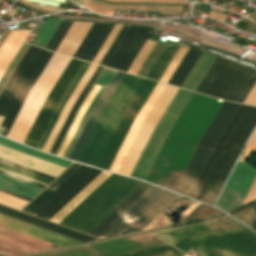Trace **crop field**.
I'll return each instance as SVG.
<instances>
[{"mask_svg": "<svg viewBox=\"0 0 256 256\" xmlns=\"http://www.w3.org/2000/svg\"><path fill=\"white\" fill-rule=\"evenodd\" d=\"M176 230L154 234L163 235L174 247L192 256H256V235L228 216Z\"/></svg>", "mask_w": 256, "mask_h": 256, "instance_id": "1", "label": "crop field"}, {"mask_svg": "<svg viewBox=\"0 0 256 256\" xmlns=\"http://www.w3.org/2000/svg\"><path fill=\"white\" fill-rule=\"evenodd\" d=\"M256 125V107L243 106L218 142L191 198L213 205L237 155Z\"/></svg>", "mask_w": 256, "mask_h": 256, "instance_id": "2", "label": "crop field"}, {"mask_svg": "<svg viewBox=\"0 0 256 256\" xmlns=\"http://www.w3.org/2000/svg\"><path fill=\"white\" fill-rule=\"evenodd\" d=\"M141 184L112 174L59 224L87 234Z\"/></svg>", "mask_w": 256, "mask_h": 256, "instance_id": "3", "label": "crop field"}, {"mask_svg": "<svg viewBox=\"0 0 256 256\" xmlns=\"http://www.w3.org/2000/svg\"><path fill=\"white\" fill-rule=\"evenodd\" d=\"M143 81V78L125 74L103 109L78 162L96 167L120 117Z\"/></svg>", "mask_w": 256, "mask_h": 256, "instance_id": "4", "label": "crop field"}, {"mask_svg": "<svg viewBox=\"0 0 256 256\" xmlns=\"http://www.w3.org/2000/svg\"><path fill=\"white\" fill-rule=\"evenodd\" d=\"M89 63L71 59L50 95L46 99L24 144L42 150L66 102L70 98Z\"/></svg>", "mask_w": 256, "mask_h": 256, "instance_id": "5", "label": "crop field"}, {"mask_svg": "<svg viewBox=\"0 0 256 256\" xmlns=\"http://www.w3.org/2000/svg\"><path fill=\"white\" fill-rule=\"evenodd\" d=\"M255 81V70L216 57L196 92L243 103Z\"/></svg>", "mask_w": 256, "mask_h": 256, "instance_id": "6", "label": "crop field"}, {"mask_svg": "<svg viewBox=\"0 0 256 256\" xmlns=\"http://www.w3.org/2000/svg\"><path fill=\"white\" fill-rule=\"evenodd\" d=\"M70 58L53 54L28 94L7 138L23 143L45 99L67 66Z\"/></svg>", "mask_w": 256, "mask_h": 256, "instance_id": "7", "label": "crop field"}, {"mask_svg": "<svg viewBox=\"0 0 256 256\" xmlns=\"http://www.w3.org/2000/svg\"><path fill=\"white\" fill-rule=\"evenodd\" d=\"M239 104L224 102L209 129L202 138L189 165L180 179L175 192L190 197L203 169L205 168L217 142L239 109Z\"/></svg>", "mask_w": 256, "mask_h": 256, "instance_id": "8", "label": "crop field"}, {"mask_svg": "<svg viewBox=\"0 0 256 256\" xmlns=\"http://www.w3.org/2000/svg\"><path fill=\"white\" fill-rule=\"evenodd\" d=\"M192 92L179 89L174 99L155 126L131 177L145 180L169 130L191 97Z\"/></svg>", "mask_w": 256, "mask_h": 256, "instance_id": "9", "label": "crop field"}, {"mask_svg": "<svg viewBox=\"0 0 256 256\" xmlns=\"http://www.w3.org/2000/svg\"><path fill=\"white\" fill-rule=\"evenodd\" d=\"M255 176L256 169L245 163L238 162L216 207L227 211L242 204Z\"/></svg>", "mask_w": 256, "mask_h": 256, "instance_id": "10", "label": "crop field"}, {"mask_svg": "<svg viewBox=\"0 0 256 256\" xmlns=\"http://www.w3.org/2000/svg\"><path fill=\"white\" fill-rule=\"evenodd\" d=\"M151 31L147 27L130 26L106 67L127 72Z\"/></svg>", "mask_w": 256, "mask_h": 256, "instance_id": "11", "label": "crop field"}, {"mask_svg": "<svg viewBox=\"0 0 256 256\" xmlns=\"http://www.w3.org/2000/svg\"><path fill=\"white\" fill-rule=\"evenodd\" d=\"M43 49L30 45L0 94V124L13 102L18 90L42 54Z\"/></svg>", "mask_w": 256, "mask_h": 256, "instance_id": "12", "label": "crop field"}, {"mask_svg": "<svg viewBox=\"0 0 256 256\" xmlns=\"http://www.w3.org/2000/svg\"><path fill=\"white\" fill-rule=\"evenodd\" d=\"M101 172L102 170L89 167L45 209L43 208L37 217L49 220Z\"/></svg>", "mask_w": 256, "mask_h": 256, "instance_id": "13", "label": "crop field"}, {"mask_svg": "<svg viewBox=\"0 0 256 256\" xmlns=\"http://www.w3.org/2000/svg\"><path fill=\"white\" fill-rule=\"evenodd\" d=\"M165 192L166 190L154 187L99 238L120 235Z\"/></svg>", "mask_w": 256, "mask_h": 256, "instance_id": "14", "label": "crop field"}, {"mask_svg": "<svg viewBox=\"0 0 256 256\" xmlns=\"http://www.w3.org/2000/svg\"><path fill=\"white\" fill-rule=\"evenodd\" d=\"M0 225L22 232L35 238L63 247L66 245L81 243L71 238L50 232L48 230L30 225L28 223L0 214Z\"/></svg>", "mask_w": 256, "mask_h": 256, "instance_id": "15", "label": "crop field"}, {"mask_svg": "<svg viewBox=\"0 0 256 256\" xmlns=\"http://www.w3.org/2000/svg\"><path fill=\"white\" fill-rule=\"evenodd\" d=\"M52 56V53L44 50L43 54L39 58L38 62L34 66L33 70L31 71L30 75L26 79L25 83L21 87L20 91L18 92L9 112L7 113L3 123L1 126L6 127L3 136L6 137L16 115L18 114L27 94L29 93L30 89L34 85L35 81L39 77L40 73L44 69L45 65L49 61L50 57Z\"/></svg>", "mask_w": 256, "mask_h": 256, "instance_id": "16", "label": "crop field"}, {"mask_svg": "<svg viewBox=\"0 0 256 256\" xmlns=\"http://www.w3.org/2000/svg\"><path fill=\"white\" fill-rule=\"evenodd\" d=\"M124 76V73H121L119 71H117V73L115 74L114 78L112 79V81L110 82V84L108 85V87L106 88L105 92L103 93V95L101 96V98L99 99L98 103L96 104V106L94 107L90 117L88 118L70 156L69 159L72 160H77L100 112L102 111V109L104 108L105 104L107 103V101L109 100L110 96L112 95V93L114 92V90L116 89L117 85L119 84V82L121 81L122 77Z\"/></svg>", "mask_w": 256, "mask_h": 256, "instance_id": "17", "label": "crop field"}, {"mask_svg": "<svg viewBox=\"0 0 256 256\" xmlns=\"http://www.w3.org/2000/svg\"><path fill=\"white\" fill-rule=\"evenodd\" d=\"M113 26L114 24L93 23L74 57L92 62Z\"/></svg>", "mask_w": 256, "mask_h": 256, "instance_id": "18", "label": "crop field"}, {"mask_svg": "<svg viewBox=\"0 0 256 256\" xmlns=\"http://www.w3.org/2000/svg\"><path fill=\"white\" fill-rule=\"evenodd\" d=\"M165 87L164 84L157 83L156 87L154 88L153 92L151 93L150 97L148 98L147 102L143 106L142 110L140 111L139 115L137 116L136 120L134 121L129 133L127 134L122 146L120 147L116 157L114 158L109 170L117 172L128 148L130 147L141 123L145 119L146 115L150 111L151 107L157 100L158 96L162 92L163 88Z\"/></svg>", "mask_w": 256, "mask_h": 256, "instance_id": "19", "label": "crop field"}, {"mask_svg": "<svg viewBox=\"0 0 256 256\" xmlns=\"http://www.w3.org/2000/svg\"><path fill=\"white\" fill-rule=\"evenodd\" d=\"M152 188L153 186L143 183L88 234L98 238Z\"/></svg>", "mask_w": 256, "mask_h": 256, "instance_id": "20", "label": "crop field"}, {"mask_svg": "<svg viewBox=\"0 0 256 256\" xmlns=\"http://www.w3.org/2000/svg\"><path fill=\"white\" fill-rule=\"evenodd\" d=\"M0 213L12 216L14 218L26 221L28 223L43 227L45 229L60 233L62 235L74 238V239L82 241V242L91 241V240L96 239V238L90 237L88 235L70 230L68 228L50 223L48 221L30 216L28 214L13 210L11 208H8V207L2 206V205H0Z\"/></svg>", "mask_w": 256, "mask_h": 256, "instance_id": "21", "label": "crop field"}, {"mask_svg": "<svg viewBox=\"0 0 256 256\" xmlns=\"http://www.w3.org/2000/svg\"><path fill=\"white\" fill-rule=\"evenodd\" d=\"M88 166L82 165L77 171H75L63 184H61L55 191L47 187L42 193H40L29 205H27L22 211L29 213L32 209H34L41 201H43L50 193V194L43 202H41L34 210H32L29 214L36 216L43 208H45L55 197H57L68 185H70L82 172H84Z\"/></svg>", "mask_w": 256, "mask_h": 256, "instance_id": "22", "label": "crop field"}, {"mask_svg": "<svg viewBox=\"0 0 256 256\" xmlns=\"http://www.w3.org/2000/svg\"><path fill=\"white\" fill-rule=\"evenodd\" d=\"M28 33L29 31H10L0 47V78L18 52Z\"/></svg>", "mask_w": 256, "mask_h": 256, "instance_id": "23", "label": "crop field"}, {"mask_svg": "<svg viewBox=\"0 0 256 256\" xmlns=\"http://www.w3.org/2000/svg\"><path fill=\"white\" fill-rule=\"evenodd\" d=\"M92 23H77L73 22L72 26L68 30L61 44L57 48L56 52L73 56L91 27Z\"/></svg>", "mask_w": 256, "mask_h": 256, "instance_id": "24", "label": "crop field"}, {"mask_svg": "<svg viewBox=\"0 0 256 256\" xmlns=\"http://www.w3.org/2000/svg\"><path fill=\"white\" fill-rule=\"evenodd\" d=\"M178 197L179 196L168 191L121 235L141 231L147 224H149L156 216H158Z\"/></svg>", "mask_w": 256, "mask_h": 256, "instance_id": "25", "label": "crop field"}, {"mask_svg": "<svg viewBox=\"0 0 256 256\" xmlns=\"http://www.w3.org/2000/svg\"><path fill=\"white\" fill-rule=\"evenodd\" d=\"M95 68H96V65L90 64L89 68L87 69L86 73L84 74L83 78L81 79L80 83L78 84L77 88L75 89L74 93L72 94L71 98L69 99L68 103L66 102L67 104H66L60 118L58 119L51 135L49 136V138L43 148V151L49 153L72 105L74 104L75 100L79 96L80 92L82 91L83 87L87 83L88 79L90 78V76L93 73V71L95 70Z\"/></svg>", "mask_w": 256, "mask_h": 256, "instance_id": "26", "label": "crop field"}, {"mask_svg": "<svg viewBox=\"0 0 256 256\" xmlns=\"http://www.w3.org/2000/svg\"><path fill=\"white\" fill-rule=\"evenodd\" d=\"M214 59L215 56L202 52L199 59L181 85V88L195 91Z\"/></svg>", "mask_w": 256, "mask_h": 256, "instance_id": "27", "label": "crop field"}, {"mask_svg": "<svg viewBox=\"0 0 256 256\" xmlns=\"http://www.w3.org/2000/svg\"><path fill=\"white\" fill-rule=\"evenodd\" d=\"M103 70V67H99L97 66L96 70L94 71V73L92 74L91 78L89 79L88 83L86 84V86L84 87L83 91L81 92L80 96L78 97V99L76 100L75 104L73 105L51 151L50 154L55 155L78 107L80 106V104L82 103L83 99L85 98V96L87 95V93L89 92V90L91 89L92 85L94 84V82L96 81V79L98 78L99 74L101 73V71Z\"/></svg>", "mask_w": 256, "mask_h": 256, "instance_id": "28", "label": "crop field"}, {"mask_svg": "<svg viewBox=\"0 0 256 256\" xmlns=\"http://www.w3.org/2000/svg\"><path fill=\"white\" fill-rule=\"evenodd\" d=\"M0 188L33 199L43 188L0 174Z\"/></svg>", "mask_w": 256, "mask_h": 256, "instance_id": "29", "label": "crop field"}, {"mask_svg": "<svg viewBox=\"0 0 256 256\" xmlns=\"http://www.w3.org/2000/svg\"><path fill=\"white\" fill-rule=\"evenodd\" d=\"M202 51L189 48L187 51L186 55L180 62L179 66L171 76L170 80L168 81V84L175 85L180 87L182 84L183 80L189 73L190 69L198 59L199 55L201 54Z\"/></svg>", "mask_w": 256, "mask_h": 256, "instance_id": "30", "label": "crop field"}, {"mask_svg": "<svg viewBox=\"0 0 256 256\" xmlns=\"http://www.w3.org/2000/svg\"><path fill=\"white\" fill-rule=\"evenodd\" d=\"M107 174L108 172L103 171L88 186H86L77 196H75L66 206H64L55 216H53L50 219V221L56 222L61 216H63L74 204H76L88 191H90ZM110 174H108L90 192H88L76 205H74L63 217H61L57 221V223L60 222L65 216H67L78 204H80L92 191H94L105 179H107L110 176Z\"/></svg>", "mask_w": 256, "mask_h": 256, "instance_id": "31", "label": "crop field"}, {"mask_svg": "<svg viewBox=\"0 0 256 256\" xmlns=\"http://www.w3.org/2000/svg\"><path fill=\"white\" fill-rule=\"evenodd\" d=\"M109 256H183V254L169 244L164 243Z\"/></svg>", "mask_w": 256, "mask_h": 256, "instance_id": "32", "label": "crop field"}, {"mask_svg": "<svg viewBox=\"0 0 256 256\" xmlns=\"http://www.w3.org/2000/svg\"><path fill=\"white\" fill-rule=\"evenodd\" d=\"M61 23V20L54 19L48 17L46 21L44 22L41 30L38 32L36 37L33 40V43L39 44L41 46H46L49 42L50 38L58 28L59 24Z\"/></svg>", "mask_w": 256, "mask_h": 256, "instance_id": "33", "label": "crop field"}, {"mask_svg": "<svg viewBox=\"0 0 256 256\" xmlns=\"http://www.w3.org/2000/svg\"><path fill=\"white\" fill-rule=\"evenodd\" d=\"M0 144L4 145L6 147H9V148L18 150L20 152L32 155L34 157L46 160L48 162L60 165V166L65 167V168H67L71 164L70 162H66V161H62V160H59V159H55V158H52V157L45 156L43 154L37 153L35 151H32V150L27 149V148H25L23 146H20L18 144L12 143L10 141H7V140L1 139V138H0Z\"/></svg>", "mask_w": 256, "mask_h": 256, "instance_id": "34", "label": "crop field"}, {"mask_svg": "<svg viewBox=\"0 0 256 256\" xmlns=\"http://www.w3.org/2000/svg\"><path fill=\"white\" fill-rule=\"evenodd\" d=\"M164 48V45L156 43L153 50L151 51L146 61L140 68L139 72L137 73L138 76L146 77V75L148 74V72L150 71V69L152 68V66L154 65L155 61L157 60V58L159 57Z\"/></svg>", "mask_w": 256, "mask_h": 256, "instance_id": "35", "label": "crop field"}, {"mask_svg": "<svg viewBox=\"0 0 256 256\" xmlns=\"http://www.w3.org/2000/svg\"><path fill=\"white\" fill-rule=\"evenodd\" d=\"M71 24L72 22L62 21L59 28L57 29L54 36L52 37L49 44L47 45L46 49L55 52L56 48L60 44L61 40L63 39L64 35L66 34Z\"/></svg>", "mask_w": 256, "mask_h": 256, "instance_id": "36", "label": "crop field"}, {"mask_svg": "<svg viewBox=\"0 0 256 256\" xmlns=\"http://www.w3.org/2000/svg\"><path fill=\"white\" fill-rule=\"evenodd\" d=\"M28 47H29V44L24 42L22 47L20 48L19 52L17 53V55L13 59L12 63L8 67L7 71L5 72L3 77L1 78V80H0V92H1L2 88L4 87V85L6 84L7 80L9 79V77L11 76L12 72L16 68L17 64L21 60L22 56L26 52Z\"/></svg>", "mask_w": 256, "mask_h": 256, "instance_id": "37", "label": "crop field"}, {"mask_svg": "<svg viewBox=\"0 0 256 256\" xmlns=\"http://www.w3.org/2000/svg\"><path fill=\"white\" fill-rule=\"evenodd\" d=\"M187 50H188V48L180 47V49L178 50L177 54L175 55V57L173 58L172 62L168 66V68L165 71V73L163 74L162 78L160 79L161 82L167 83V81L169 80L170 76L172 75V73L176 69L177 65L179 64V62L181 61V59L183 58V56L185 55Z\"/></svg>", "mask_w": 256, "mask_h": 256, "instance_id": "38", "label": "crop field"}, {"mask_svg": "<svg viewBox=\"0 0 256 256\" xmlns=\"http://www.w3.org/2000/svg\"><path fill=\"white\" fill-rule=\"evenodd\" d=\"M28 201L0 192V204L20 210Z\"/></svg>", "mask_w": 256, "mask_h": 256, "instance_id": "39", "label": "crop field"}, {"mask_svg": "<svg viewBox=\"0 0 256 256\" xmlns=\"http://www.w3.org/2000/svg\"><path fill=\"white\" fill-rule=\"evenodd\" d=\"M122 27V25H117L115 24L114 28L112 29V31L110 32L109 36L107 37L106 41L104 42V44L102 45L101 49L99 50L98 54L96 55V57L93 60V63H97L99 64L100 60L102 59V57L104 56L105 52L107 51V49L109 48L110 44L112 43V41L114 40L115 36L117 35V33L119 32L120 28Z\"/></svg>", "mask_w": 256, "mask_h": 256, "instance_id": "40", "label": "crop field"}, {"mask_svg": "<svg viewBox=\"0 0 256 256\" xmlns=\"http://www.w3.org/2000/svg\"><path fill=\"white\" fill-rule=\"evenodd\" d=\"M128 28H129L128 25H123L122 29L120 30V32L118 33L117 37L115 38V40L113 41L112 45L110 46V48L108 49L107 53L105 54V56L103 57L102 61L100 62V65L105 66V64L107 63L108 59L110 58V56L114 52L115 48L119 44L120 40L122 39V37L124 36V34L126 33Z\"/></svg>", "mask_w": 256, "mask_h": 256, "instance_id": "41", "label": "crop field"}, {"mask_svg": "<svg viewBox=\"0 0 256 256\" xmlns=\"http://www.w3.org/2000/svg\"><path fill=\"white\" fill-rule=\"evenodd\" d=\"M81 165L74 163L70 168H68L62 175H60L53 183L49 185L56 189L61 183H63L75 170H77Z\"/></svg>", "mask_w": 256, "mask_h": 256, "instance_id": "42", "label": "crop field"}, {"mask_svg": "<svg viewBox=\"0 0 256 256\" xmlns=\"http://www.w3.org/2000/svg\"><path fill=\"white\" fill-rule=\"evenodd\" d=\"M112 2L186 4V0H107Z\"/></svg>", "mask_w": 256, "mask_h": 256, "instance_id": "43", "label": "crop field"}, {"mask_svg": "<svg viewBox=\"0 0 256 256\" xmlns=\"http://www.w3.org/2000/svg\"><path fill=\"white\" fill-rule=\"evenodd\" d=\"M0 167H2V168H4V169H7V170H10V171H13V172H16V173H19V174H21V175H24V176L33 178V179H36V180H39V181L44 182V183H47V184H49V183L51 182V180H48V179H45V178H43V177H40V176L31 174V173L25 172V171H23V170H20V169H17V168H14V167L5 165V164H3V163H0Z\"/></svg>", "mask_w": 256, "mask_h": 256, "instance_id": "44", "label": "crop field"}, {"mask_svg": "<svg viewBox=\"0 0 256 256\" xmlns=\"http://www.w3.org/2000/svg\"><path fill=\"white\" fill-rule=\"evenodd\" d=\"M115 73L116 71L104 68V70L102 71L101 75L99 76L95 84L107 87V85L109 84V82L111 81Z\"/></svg>", "mask_w": 256, "mask_h": 256, "instance_id": "45", "label": "crop field"}, {"mask_svg": "<svg viewBox=\"0 0 256 256\" xmlns=\"http://www.w3.org/2000/svg\"><path fill=\"white\" fill-rule=\"evenodd\" d=\"M251 151H256V130L250 138L241 160H239L245 162Z\"/></svg>", "mask_w": 256, "mask_h": 256, "instance_id": "46", "label": "crop field"}, {"mask_svg": "<svg viewBox=\"0 0 256 256\" xmlns=\"http://www.w3.org/2000/svg\"><path fill=\"white\" fill-rule=\"evenodd\" d=\"M0 162H3L5 164H8V165H11V166H14V167H17V168H20V169H23L25 171H28V172H31V173H34V174H37V175H40V176H43L45 178H48V179H51L53 180L54 177H51V176H48L46 174H43V173H40V172H37V171H34V170H31V169H28L26 167H23V166H20V165H17V164H14V163H11V162H8L6 160H3V159H0Z\"/></svg>", "mask_w": 256, "mask_h": 256, "instance_id": "47", "label": "crop field"}, {"mask_svg": "<svg viewBox=\"0 0 256 256\" xmlns=\"http://www.w3.org/2000/svg\"><path fill=\"white\" fill-rule=\"evenodd\" d=\"M251 211V210H250ZM250 226L256 228V206L252 211L242 220Z\"/></svg>", "mask_w": 256, "mask_h": 256, "instance_id": "48", "label": "crop field"}, {"mask_svg": "<svg viewBox=\"0 0 256 256\" xmlns=\"http://www.w3.org/2000/svg\"><path fill=\"white\" fill-rule=\"evenodd\" d=\"M83 6L88 7L90 9L94 10L95 12L110 15V16H112V14L114 12L113 9H108V8H103V7H97V6L87 5V4H84Z\"/></svg>", "mask_w": 256, "mask_h": 256, "instance_id": "49", "label": "crop field"}, {"mask_svg": "<svg viewBox=\"0 0 256 256\" xmlns=\"http://www.w3.org/2000/svg\"><path fill=\"white\" fill-rule=\"evenodd\" d=\"M244 103L256 106V83L253 86L247 98L245 99Z\"/></svg>", "mask_w": 256, "mask_h": 256, "instance_id": "50", "label": "crop field"}, {"mask_svg": "<svg viewBox=\"0 0 256 256\" xmlns=\"http://www.w3.org/2000/svg\"><path fill=\"white\" fill-rule=\"evenodd\" d=\"M205 205L200 204L198 207L194 209V212H191L186 218H184L180 223L189 221L192 217H194L201 209H203Z\"/></svg>", "mask_w": 256, "mask_h": 256, "instance_id": "51", "label": "crop field"}, {"mask_svg": "<svg viewBox=\"0 0 256 256\" xmlns=\"http://www.w3.org/2000/svg\"><path fill=\"white\" fill-rule=\"evenodd\" d=\"M25 4H28V5H31V6H34L38 9H41V10H46V11H52V12H57V11H62V10H57V9H52V8H48V7H43V6H38V5H34V4H30V3H27V2H24L22 0H19Z\"/></svg>", "mask_w": 256, "mask_h": 256, "instance_id": "52", "label": "crop field"}, {"mask_svg": "<svg viewBox=\"0 0 256 256\" xmlns=\"http://www.w3.org/2000/svg\"><path fill=\"white\" fill-rule=\"evenodd\" d=\"M0 173H3V174H6V175H9V176H12V177L18 178V179H20V180H23V181H26V182H29V183H32V184H35V185H37V186H40V187L45 188V186H42V185H40V184H37V183L31 182V181H28V180H26V179H23V178H20V177L14 176V175L9 174V173H6V172L0 171Z\"/></svg>", "mask_w": 256, "mask_h": 256, "instance_id": "53", "label": "crop field"}, {"mask_svg": "<svg viewBox=\"0 0 256 256\" xmlns=\"http://www.w3.org/2000/svg\"><path fill=\"white\" fill-rule=\"evenodd\" d=\"M0 170H3V171H6V172H9V173H12V174H14V175H17V176H20V177L26 178V179H28V180H31V181H34V182H37V183H40V184H42V185L47 186V184H44V183H41V182H39V181H36V180L30 179V178L21 176V175H19V174H16V173H13V172H10V171H7V170H4V169H2V168H0Z\"/></svg>", "mask_w": 256, "mask_h": 256, "instance_id": "54", "label": "crop field"}, {"mask_svg": "<svg viewBox=\"0 0 256 256\" xmlns=\"http://www.w3.org/2000/svg\"><path fill=\"white\" fill-rule=\"evenodd\" d=\"M0 191L5 192V193H8V194H11V195H14V196H17V197H19V198H22V199H25V200H28V201L31 200V199L25 198V197H23V196H20V195L14 194V193H11V192L6 191V190H3V189H0Z\"/></svg>", "mask_w": 256, "mask_h": 256, "instance_id": "55", "label": "crop field"}]
</instances>
